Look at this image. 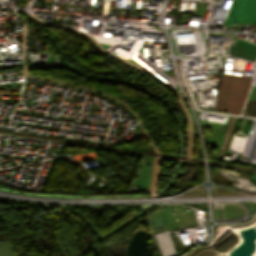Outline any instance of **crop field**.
<instances>
[{
	"instance_id": "crop-field-1",
	"label": "crop field",
	"mask_w": 256,
	"mask_h": 256,
	"mask_svg": "<svg viewBox=\"0 0 256 256\" xmlns=\"http://www.w3.org/2000/svg\"><path fill=\"white\" fill-rule=\"evenodd\" d=\"M253 77L224 73L215 110L239 113Z\"/></svg>"
},
{
	"instance_id": "crop-field-2",
	"label": "crop field",
	"mask_w": 256,
	"mask_h": 256,
	"mask_svg": "<svg viewBox=\"0 0 256 256\" xmlns=\"http://www.w3.org/2000/svg\"><path fill=\"white\" fill-rule=\"evenodd\" d=\"M256 9V0H235L223 25L248 24Z\"/></svg>"
},
{
	"instance_id": "crop-field-3",
	"label": "crop field",
	"mask_w": 256,
	"mask_h": 256,
	"mask_svg": "<svg viewBox=\"0 0 256 256\" xmlns=\"http://www.w3.org/2000/svg\"><path fill=\"white\" fill-rule=\"evenodd\" d=\"M250 23H256V11H255Z\"/></svg>"
}]
</instances>
